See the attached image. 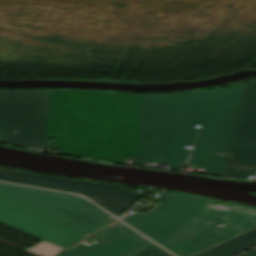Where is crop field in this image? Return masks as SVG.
<instances>
[{
	"label": "crop field",
	"instance_id": "1",
	"mask_svg": "<svg viewBox=\"0 0 256 256\" xmlns=\"http://www.w3.org/2000/svg\"><path fill=\"white\" fill-rule=\"evenodd\" d=\"M244 85L189 94L144 95L136 165L171 164L179 170L203 125L187 164L220 175Z\"/></svg>",
	"mask_w": 256,
	"mask_h": 256
},
{
	"label": "crop field",
	"instance_id": "2",
	"mask_svg": "<svg viewBox=\"0 0 256 256\" xmlns=\"http://www.w3.org/2000/svg\"><path fill=\"white\" fill-rule=\"evenodd\" d=\"M142 94L50 91L45 143L62 153L123 164L136 155ZM75 138L84 139L75 142Z\"/></svg>",
	"mask_w": 256,
	"mask_h": 256
},
{
	"label": "crop field",
	"instance_id": "3",
	"mask_svg": "<svg viewBox=\"0 0 256 256\" xmlns=\"http://www.w3.org/2000/svg\"><path fill=\"white\" fill-rule=\"evenodd\" d=\"M113 219L80 196L0 183V223L63 249Z\"/></svg>",
	"mask_w": 256,
	"mask_h": 256
},
{
	"label": "crop field",
	"instance_id": "4",
	"mask_svg": "<svg viewBox=\"0 0 256 256\" xmlns=\"http://www.w3.org/2000/svg\"><path fill=\"white\" fill-rule=\"evenodd\" d=\"M48 96L49 91H0V142L41 151Z\"/></svg>",
	"mask_w": 256,
	"mask_h": 256
},
{
	"label": "crop field",
	"instance_id": "5",
	"mask_svg": "<svg viewBox=\"0 0 256 256\" xmlns=\"http://www.w3.org/2000/svg\"><path fill=\"white\" fill-rule=\"evenodd\" d=\"M211 201L217 202L171 192L148 216L134 212L122 220L163 246Z\"/></svg>",
	"mask_w": 256,
	"mask_h": 256
},
{
	"label": "crop field",
	"instance_id": "6",
	"mask_svg": "<svg viewBox=\"0 0 256 256\" xmlns=\"http://www.w3.org/2000/svg\"><path fill=\"white\" fill-rule=\"evenodd\" d=\"M255 174L256 79L244 86L221 175L248 178Z\"/></svg>",
	"mask_w": 256,
	"mask_h": 256
},
{
	"label": "crop field",
	"instance_id": "7",
	"mask_svg": "<svg viewBox=\"0 0 256 256\" xmlns=\"http://www.w3.org/2000/svg\"><path fill=\"white\" fill-rule=\"evenodd\" d=\"M0 180L84 195L118 217L140 193L127 187L40 176L0 169Z\"/></svg>",
	"mask_w": 256,
	"mask_h": 256
},
{
	"label": "crop field",
	"instance_id": "8",
	"mask_svg": "<svg viewBox=\"0 0 256 256\" xmlns=\"http://www.w3.org/2000/svg\"><path fill=\"white\" fill-rule=\"evenodd\" d=\"M99 242L69 249L58 256H131L150 244L119 222L94 234Z\"/></svg>",
	"mask_w": 256,
	"mask_h": 256
},
{
	"label": "crop field",
	"instance_id": "9",
	"mask_svg": "<svg viewBox=\"0 0 256 256\" xmlns=\"http://www.w3.org/2000/svg\"><path fill=\"white\" fill-rule=\"evenodd\" d=\"M238 208L239 206H223L211 203L163 247L173 252L209 234L218 229L216 225L227 224Z\"/></svg>",
	"mask_w": 256,
	"mask_h": 256
},
{
	"label": "crop field",
	"instance_id": "10",
	"mask_svg": "<svg viewBox=\"0 0 256 256\" xmlns=\"http://www.w3.org/2000/svg\"><path fill=\"white\" fill-rule=\"evenodd\" d=\"M256 247V229L225 241L195 256H235Z\"/></svg>",
	"mask_w": 256,
	"mask_h": 256
},
{
	"label": "crop field",
	"instance_id": "11",
	"mask_svg": "<svg viewBox=\"0 0 256 256\" xmlns=\"http://www.w3.org/2000/svg\"><path fill=\"white\" fill-rule=\"evenodd\" d=\"M235 235L234 233L220 228L219 230L173 252L177 256H190L201 250H204L220 241H223L231 236ZM236 236V235H235Z\"/></svg>",
	"mask_w": 256,
	"mask_h": 256
},
{
	"label": "crop field",
	"instance_id": "12",
	"mask_svg": "<svg viewBox=\"0 0 256 256\" xmlns=\"http://www.w3.org/2000/svg\"><path fill=\"white\" fill-rule=\"evenodd\" d=\"M228 224V223H227ZM256 226V209L240 206L228 225L224 226L238 234Z\"/></svg>",
	"mask_w": 256,
	"mask_h": 256
},
{
	"label": "crop field",
	"instance_id": "13",
	"mask_svg": "<svg viewBox=\"0 0 256 256\" xmlns=\"http://www.w3.org/2000/svg\"><path fill=\"white\" fill-rule=\"evenodd\" d=\"M135 256H172L155 245H150Z\"/></svg>",
	"mask_w": 256,
	"mask_h": 256
},
{
	"label": "crop field",
	"instance_id": "14",
	"mask_svg": "<svg viewBox=\"0 0 256 256\" xmlns=\"http://www.w3.org/2000/svg\"><path fill=\"white\" fill-rule=\"evenodd\" d=\"M254 252H256V249H254V250H252V251H250V252H247V253H245V254H243V255H241V256H247V255L252 254V253H254Z\"/></svg>",
	"mask_w": 256,
	"mask_h": 256
},
{
	"label": "crop field",
	"instance_id": "15",
	"mask_svg": "<svg viewBox=\"0 0 256 256\" xmlns=\"http://www.w3.org/2000/svg\"><path fill=\"white\" fill-rule=\"evenodd\" d=\"M76 141H83V140H81V139H75Z\"/></svg>",
	"mask_w": 256,
	"mask_h": 256
},
{
	"label": "crop field",
	"instance_id": "16",
	"mask_svg": "<svg viewBox=\"0 0 256 256\" xmlns=\"http://www.w3.org/2000/svg\"><path fill=\"white\" fill-rule=\"evenodd\" d=\"M249 256H256V253L252 254V255H249Z\"/></svg>",
	"mask_w": 256,
	"mask_h": 256
}]
</instances>
